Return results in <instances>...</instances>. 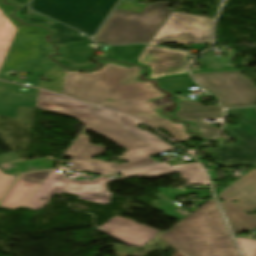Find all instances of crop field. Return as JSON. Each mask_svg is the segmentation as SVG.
<instances>
[{"label": "crop field", "instance_id": "22", "mask_svg": "<svg viewBox=\"0 0 256 256\" xmlns=\"http://www.w3.org/2000/svg\"><path fill=\"white\" fill-rule=\"evenodd\" d=\"M90 42L92 41L87 40L60 45L59 47L63 52V56L54 57V59L64 66L71 68L90 69L97 67L96 64L89 61V58L94 54L93 49L88 46Z\"/></svg>", "mask_w": 256, "mask_h": 256}, {"label": "crop field", "instance_id": "1", "mask_svg": "<svg viewBox=\"0 0 256 256\" xmlns=\"http://www.w3.org/2000/svg\"><path fill=\"white\" fill-rule=\"evenodd\" d=\"M159 238L185 256H239L213 199Z\"/></svg>", "mask_w": 256, "mask_h": 256}, {"label": "crop field", "instance_id": "31", "mask_svg": "<svg viewBox=\"0 0 256 256\" xmlns=\"http://www.w3.org/2000/svg\"><path fill=\"white\" fill-rule=\"evenodd\" d=\"M244 256H256V240L236 238Z\"/></svg>", "mask_w": 256, "mask_h": 256}, {"label": "crop field", "instance_id": "25", "mask_svg": "<svg viewBox=\"0 0 256 256\" xmlns=\"http://www.w3.org/2000/svg\"><path fill=\"white\" fill-rule=\"evenodd\" d=\"M162 87L171 91L174 94L188 93L187 88L196 87L197 85L187 75L169 77L157 80Z\"/></svg>", "mask_w": 256, "mask_h": 256}, {"label": "crop field", "instance_id": "17", "mask_svg": "<svg viewBox=\"0 0 256 256\" xmlns=\"http://www.w3.org/2000/svg\"><path fill=\"white\" fill-rule=\"evenodd\" d=\"M54 105H58L59 108H53L52 106ZM36 108L56 114L73 117L80 121L82 124L86 125L85 127H87L94 114L96 113V111L93 110V107L86 106L78 102L59 97L41 90L39 93Z\"/></svg>", "mask_w": 256, "mask_h": 256}, {"label": "crop field", "instance_id": "10", "mask_svg": "<svg viewBox=\"0 0 256 256\" xmlns=\"http://www.w3.org/2000/svg\"><path fill=\"white\" fill-rule=\"evenodd\" d=\"M211 18L173 12L150 44L210 43Z\"/></svg>", "mask_w": 256, "mask_h": 256}, {"label": "crop field", "instance_id": "13", "mask_svg": "<svg viewBox=\"0 0 256 256\" xmlns=\"http://www.w3.org/2000/svg\"><path fill=\"white\" fill-rule=\"evenodd\" d=\"M85 129L102 135L117 145L125 146L128 150L150 146L123 128L117 114L114 112L99 109Z\"/></svg>", "mask_w": 256, "mask_h": 256}, {"label": "crop field", "instance_id": "21", "mask_svg": "<svg viewBox=\"0 0 256 256\" xmlns=\"http://www.w3.org/2000/svg\"><path fill=\"white\" fill-rule=\"evenodd\" d=\"M109 177H111L113 180L99 177L93 182L72 181L64 193L77 195L81 200L100 204H109L112 194L106 188L107 182L122 179V177L116 179L113 175ZM78 189L80 190L77 191Z\"/></svg>", "mask_w": 256, "mask_h": 256}, {"label": "crop field", "instance_id": "14", "mask_svg": "<svg viewBox=\"0 0 256 256\" xmlns=\"http://www.w3.org/2000/svg\"><path fill=\"white\" fill-rule=\"evenodd\" d=\"M90 139V137L81 135L64 152V156L73 158L69 169L85 170L100 174L117 172L112 163L90 159L93 155L102 153L105 149L104 147L91 144L89 142Z\"/></svg>", "mask_w": 256, "mask_h": 256}, {"label": "crop field", "instance_id": "12", "mask_svg": "<svg viewBox=\"0 0 256 256\" xmlns=\"http://www.w3.org/2000/svg\"><path fill=\"white\" fill-rule=\"evenodd\" d=\"M187 61L186 52L147 46L136 62L150 66V78L154 79L185 73Z\"/></svg>", "mask_w": 256, "mask_h": 256}, {"label": "crop field", "instance_id": "35", "mask_svg": "<svg viewBox=\"0 0 256 256\" xmlns=\"http://www.w3.org/2000/svg\"><path fill=\"white\" fill-rule=\"evenodd\" d=\"M18 159L19 158L13 152L3 154V155H0V164H4V163L11 162Z\"/></svg>", "mask_w": 256, "mask_h": 256}, {"label": "crop field", "instance_id": "34", "mask_svg": "<svg viewBox=\"0 0 256 256\" xmlns=\"http://www.w3.org/2000/svg\"><path fill=\"white\" fill-rule=\"evenodd\" d=\"M16 9V7L6 6L2 4V0H0V10L1 12L8 18V20L16 27L18 28L20 25L17 21L10 18L9 14L13 12ZM17 10V9H16Z\"/></svg>", "mask_w": 256, "mask_h": 256}, {"label": "crop field", "instance_id": "11", "mask_svg": "<svg viewBox=\"0 0 256 256\" xmlns=\"http://www.w3.org/2000/svg\"><path fill=\"white\" fill-rule=\"evenodd\" d=\"M120 121L126 129L143 139L144 141L152 144L153 146L136 149L132 151L123 152L122 157H118L120 159L126 160L130 163L117 165L116 168L118 171L130 169L134 167H139L147 164L156 163L153 160L148 159L150 155L160 153L162 151H171L175 150L174 147L170 146L169 144L165 143L161 139L157 138L156 136L152 135L151 133L147 131H143L140 128L136 127L135 125L141 124V122H138L132 118H129L127 116H124L122 114L117 113Z\"/></svg>", "mask_w": 256, "mask_h": 256}, {"label": "crop field", "instance_id": "9", "mask_svg": "<svg viewBox=\"0 0 256 256\" xmlns=\"http://www.w3.org/2000/svg\"><path fill=\"white\" fill-rule=\"evenodd\" d=\"M218 196L225 201L221 205L234 234L256 227V214L245 215L242 211L256 207V169L244 175ZM235 199L239 202L232 203Z\"/></svg>", "mask_w": 256, "mask_h": 256}, {"label": "crop field", "instance_id": "7", "mask_svg": "<svg viewBox=\"0 0 256 256\" xmlns=\"http://www.w3.org/2000/svg\"><path fill=\"white\" fill-rule=\"evenodd\" d=\"M127 69L126 65L108 62L102 72L92 74L67 73L63 95L99 106ZM71 87L70 90H67Z\"/></svg>", "mask_w": 256, "mask_h": 256}, {"label": "crop field", "instance_id": "28", "mask_svg": "<svg viewBox=\"0 0 256 256\" xmlns=\"http://www.w3.org/2000/svg\"><path fill=\"white\" fill-rule=\"evenodd\" d=\"M52 30H54L56 33L52 37V41L56 45L60 44H66V43H71V42H76V41H82V40H87L88 38L81 36L78 34V32L67 28L61 24H56L53 26H49Z\"/></svg>", "mask_w": 256, "mask_h": 256}, {"label": "crop field", "instance_id": "15", "mask_svg": "<svg viewBox=\"0 0 256 256\" xmlns=\"http://www.w3.org/2000/svg\"><path fill=\"white\" fill-rule=\"evenodd\" d=\"M98 230L134 247H141L159 232L149 226L119 217Z\"/></svg>", "mask_w": 256, "mask_h": 256}, {"label": "crop field", "instance_id": "32", "mask_svg": "<svg viewBox=\"0 0 256 256\" xmlns=\"http://www.w3.org/2000/svg\"><path fill=\"white\" fill-rule=\"evenodd\" d=\"M16 179L15 176H9L3 173L0 169V200L9 189L13 181Z\"/></svg>", "mask_w": 256, "mask_h": 256}, {"label": "crop field", "instance_id": "27", "mask_svg": "<svg viewBox=\"0 0 256 256\" xmlns=\"http://www.w3.org/2000/svg\"><path fill=\"white\" fill-rule=\"evenodd\" d=\"M145 45H128L123 47L111 46L105 56L106 59H124L133 61L144 49Z\"/></svg>", "mask_w": 256, "mask_h": 256}, {"label": "crop field", "instance_id": "6", "mask_svg": "<svg viewBox=\"0 0 256 256\" xmlns=\"http://www.w3.org/2000/svg\"><path fill=\"white\" fill-rule=\"evenodd\" d=\"M226 116L238 119L239 126H225L224 132L235 144L225 145L224 140L210 151L212 158L224 165L249 162L256 164V108L226 110Z\"/></svg>", "mask_w": 256, "mask_h": 256}, {"label": "crop field", "instance_id": "24", "mask_svg": "<svg viewBox=\"0 0 256 256\" xmlns=\"http://www.w3.org/2000/svg\"><path fill=\"white\" fill-rule=\"evenodd\" d=\"M55 161L49 157L24 160L1 166L5 173L18 175L22 172L52 168Z\"/></svg>", "mask_w": 256, "mask_h": 256}, {"label": "crop field", "instance_id": "23", "mask_svg": "<svg viewBox=\"0 0 256 256\" xmlns=\"http://www.w3.org/2000/svg\"><path fill=\"white\" fill-rule=\"evenodd\" d=\"M69 181L68 178H62L60 173L51 172L31 199L33 210L40 209L44 204L49 203L48 200L53 193H60ZM41 198L45 200L41 201Z\"/></svg>", "mask_w": 256, "mask_h": 256}, {"label": "crop field", "instance_id": "18", "mask_svg": "<svg viewBox=\"0 0 256 256\" xmlns=\"http://www.w3.org/2000/svg\"><path fill=\"white\" fill-rule=\"evenodd\" d=\"M174 172H180L182 178H187L189 185H209L207 178L197 162L170 167L167 163L141 169L122 172L123 179L142 175L143 177H158ZM144 173H147L144 175Z\"/></svg>", "mask_w": 256, "mask_h": 256}, {"label": "crop field", "instance_id": "19", "mask_svg": "<svg viewBox=\"0 0 256 256\" xmlns=\"http://www.w3.org/2000/svg\"><path fill=\"white\" fill-rule=\"evenodd\" d=\"M20 87L0 81V115L15 118L18 106L35 108L39 90L28 87L20 91Z\"/></svg>", "mask_w": 256, "mask_h": 256}, {"label": "crop field", "instance_id": "20", "mask_svg": "<svg viewBox=\"0 0 256 256\" xmlns=\"http://www.w3.org/2000/svg\"><path fill=\"white\" fill-rule=\"evenodd\" d=\"M51 171L24 174L15 183L0 207L17 209L31 208L30 199Z\"/></svg>", "mask_w": 256, "mask_h": 256}, {"label": "crop field", "instance_id": "36", "mask_svg": "<svg viewBox=\"0 0 256 256\" xmlns=\"http://www.w3.org/2000/svg\"><path fill=\"white\" fill-rule=\"evenodd\" d=\"M9 3L25 7L28 5L29 0H7Z\"/></svg>", "mask_w": 256, "mask_h": 256}, {"label": "crop field", "instance_id": "5", "mask_svg": "<svg viewBox=\"0 0 256 256\" xmlns=\"http://www.w3.org/2000/svg\"><path fill=\"white\" fill-rule=\"evenodd\" d=\"M118 0H33L31 8L93 37ZM41 13V14H42Z\"/></svg>", "mask_w": 256, "mask_h": 256}, {"label": "crop field", "instance_id": "30", "mask_svg": "<svg viewBox=\"0 0 256 256\" xmlns=\"http://www.w3.org/2000/svg\"><path fill=\"white\" fill-rule=\"evenodd\" d=\"M22 20L26 23H30V24H41V25H45V26H49L52 24H56V22L32 11L27 9Z\"/></svg>", "mask_w": 256, "mask_h": 256}, {"label": "crop field", "instance_id": "3", "mask_svg": "<svg viewBox=\"0 0 256 256\" xmlns=\"http://www.w3.org/2000/svg\"><path fill=\"white\" fill-rule=\"evenodd\" d=\"M47 33L40 27L20 26L1 66L0 78L13 81L16 77L4 75L9 69L31 73L33 75L24 82H15L39 87L38 77L56 66L46 57L52 51L51 46L43 41Z\"/></svg>", "mask_w": 256, "mask_h": 256}, {"label": "crop field", "instance_id": "33", "mask_svg": "<svg viewBox=\"0 0 256 256\" xmlns=\"http://www.w3.org/2000/svg\"><path fill=\"white\" fill-rule=\"evenodd\" d=\"M145 5L120 1L116 8L141 12Z\"/></svg>", "mask_w": 256, "mask_h": 256}, {"label": "crop field", "instance_id": "8", "mask_svg": "<svg viewBox=\"0 0 256 256\" xmlns=\"http://www.w3.org/2000/svg\"><path fill=\"white\" fill-rule=\"evenodd\" d=\"M192 74L226 108L256 104V86L239 71Z\"/></svg>", "mask_w": 256, "mask_h": 256}, {"label": "crop field", "instance_id": "16", "mask_svg": "<svg viewBox=\"0 0 256 256\" xmlns=\"http://www.w3.org/2000/svg\"><path fill=\"white\" fill-rule=\"evenodd\" d=\"M177 103L179 110L175 112V116L194 123L201 131L198 133L199 136L208 140L220 132V128L203 122L205 117H221L222 109L220 110L219 106H204L196 101H177Z\"/></svg>", "mask_w": 256, "mask_h": 256}, {"label": "crop field", "instance_id": "29", "mask_svg": "<svg viewBox=\"0 0 256 256\" xmlns=\"http://www.w3.org/2000/svg\"><path fill=\"white\" fill-rule=\"evenodd\" d=\"M64 70L61 68H54L49 73L44 75V78L52 80L51 82L48 81H41V88L54 91L56 93L61 92V84L63 80Z\"/></svg>", "mask_w": 256, "mask_h": 256}, {"label": "crop field", "instance_id": "26", "mask_svg": "<svg viewBox=\"0 0 256 256\" xmlns=\"http://www.w3.org/2000/svg\"><path fill=\"white\" fill-rule=\"evenodd\" d=\"M16 28L0 12V66L10 46Z\"/></svg>", "mask_w": 256, "mask_h": 256}, {"label": "crop field", "instance_id": "2", "mask_svg": "<svg viewBox=\"0 0 256 256\" xmlns=\"http://www.w3.org/2000/svg\"><path fill=\"white\" fill-rule=\"evenodd\" d=\"M143 72L144 69L132 66L125 78L109 94L110 98L118 101L115 103L106 102L102 104L101 107L133 115L155 128L163 126L170 134L180 141L193 138L184 132L183 123L175 124L168 119L160 118L157 112L151 110L170 105V103H167L157 106L151 101H146L151 98L161 97L164 95L163 93L157 91L149 82L131 84L133 80ZM141 114L156 115L137 116Z\"/></svg>", "mask_w": 256, "mask_h": 256}, {"label": "crop field", "instance_id": "4", "mask_svg": "<svg viewBox=\"0 0 256 256\" xmlns=\"http://www.w3.org/2000/svg\"><path fill=\"white\" fill-rule=\"evenodd\" d=\"M170 3L148 4L141 13L115 9L94 39L112 44L148 43L172 12Z\"/></svg>", "mask_w": 256, "mask_h": 256}]
</instances>
